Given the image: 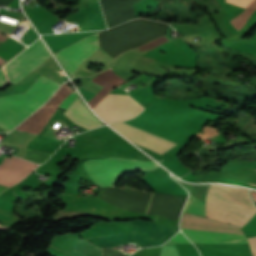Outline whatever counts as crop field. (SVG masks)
<instances>
[{"mask_svg": "<svg viewBox=\"0 0 256 256\" xmlns=\"http://www.w3.org/2000/svg\"><path fill=\"white\" fill-rule=\"evenodd\" d=\"M256 213L248 190L210 185L206 194V217L242 227ZM256 256V237L247 238Z\"/></svg>", "mask_w": 256, "mask_h": 256, "instance_id": "1", "label": "crop field"}, {"mask_svg": "<svg viewBox=\"0 0 256 256\" xmlns=\"http://www.w3.org/2000/svg\"><path fill=\"white\" fill-rule=\"evenodd\" d=\"M59 87L40 76L24 93L0 98V127L10 131L39 108Z\"/></svg>", "mask_w": 256, "mask_h": 256, "instance_id": "2", "label": "crop field"}, {"mask_svg": "<svg viewBox=\"0 0 256 256\" xmlns=\"http://www.w3.org/2000/svg\"><path fill=\"white\" fill-rule=\"evenodd\" d=\"M136 242L141 247L160 245L178 232L175 226L157 224L147 221H130ZM132 231L88 237L86 239L99 245L101 248L113 245H123L127 242H135ZM135 242V243H136Z\"/></svg>", "mask_w": 256, "mask_h": 256, "instance_id": "3", "label": "crop field"}, {"mask_svg": "<svg viewBox=\"0 0 256 256\" xmlns=\"http://www.w3.org/2000/svg\"><path fill=\"white\" fill-rule=\"evenodd\" d=\"M157 165L154 161H137L121 158H104L84 162L85 169L90 177L101 187L114 186L115 180L133 168L153 169Z\"/></svg>", "mask_w": 256, "mask_h": 256, "instance_id": "4", "label": "crop field"}, {"mask_svg": "<svg viewBox=\"0 0 256 256\" xmlns=\"http://www.w3.org/2000/svg\"><path fill=\"white\" fill-rule=\"evenodd\" d=\"M50 56L41 39H38L0 71V87L8 82L17 83Z\"/></svg>", "mask_w": 256, "mask_h": 256, "instance_id": "5", "label": "crop field"}, {"mask_svg": "<svg viewBox=\"0 0 256 256\" xmlns=\"http://www.w3.org/2000/svg\"><path fill=\"white\" fill-rule=\"evenodd\" d=\"M93 110L107 123H112L131 119L143 108L129 96L108 94Z\"/></svg>", "mask_w": 256, "mask_h": 256, "instance_id": "6", "label": "crop field"}, {"mask_svg": "<svg viewBox=\"0 0 256 256\" xmlns=\"http://www.w3.org/2000/svg\"><path fill=\"white\" fill-rule=\"evenodd\" d=\"M98 34L86 39L83 38L84 40L54 54L70 78H72L79 65L97 50L99 46Z\"/></svg>", "mask_w": 256, "mask_h": 256, "instance_id": "7", "label": "crop field"}, {"mask_svg": "<svg viewBox=\"0 0 256 256\" xmlns=\"http://www.w3.org/2000/svg\"><path fill=\"white\" fill-rule=\"evenodd\" d=\"M111 126L133 142L160 154L176 144L123 122L111 124Z\"/></svg>", "mask_w": 256, "mask_h": 256, "instance_id": "8", "label": "crop field"}, {"mask_svg": "<svg viewBox=\"0 0 256 256\" xmlns=\"http://www.w3.org/2000/svg\"><path fill=\"white\" fill-rule=\"evenodd\" d=\"M36 166L14 156L11 159L6 157L0 166V184L12 186L22 180Z\"/></svg>", "mask_w": 256, "mask_h": 256, "instance_id": "9", "label": "crop field"}, {"mask_svg": "<svg viewBox=\"0 0 256 256\" xmlns=\"http://www.w3.org/2000/svg\"><path fill=\"white\" fill-rule=\"evenodd\" d=\"M182 228L243 234L237 226L184 213Z\"/></svg>", "mask_w": 256, "mask_h": 256, "instance_id": "10", "label": "crop field"}, {"mask_svg": "<svg viewBox=\"0 0 256 256\" xmlns=\"http://www.w3.org/2000/svg\"><path fill=\"white\" fill-rule=\"evenodd\" d=\"M182 230L193 243H248L244 235Z\"/></svg>", "mask_w": 256, "mask_h": 256, "instance_id": "11", "label": "crop field"}, {"mask_svg": "<svg viewBox=\"0 0 256 256\" xmlns=\"http://www.w3.org/2000/svg\"><path fill=\"white\" fill-rule=\"evenodd\" d=\"M64 114L72 122L88 129L103 125L102 122L92 115L79 97L69 106L68 110Z\"/></svg>", "mask_w": 256, "mask_h": 256, "instance_id": "12", "label": "crop field"}, {"mask_svg": "<svg viewBox=\"0 0 256 256\" xmlns=\"http://www.w3.org/2000/svg\"><path fill=\"white\" fill-rule=\"evenodd\" d=\"M72 254L77 256H102L100 248L81 239L74 240L72 245Z\"/></svg>", "mask_w": 256, "mask_h": 256, "instance_id": "13", "label": "crop field"}, {"mask_svg": "<svg viewBox=\"0 0 256 256\" xmlns=\"http://www.w3.org/2000/svg\"><path fill=\"white\" fill-rule=\"evenodd\" d=\"M185 212L204 216L205 217V204L197 200L195 197L190 195V198L188 200V203L184 209Z\"/></svg>", "mask_w": 256, "mask_h": 256, "instance_id": "14", "label": "crop field"}, {"mask_svg": "<svg viewBox=\"0 0 256 256\" xmlns=\"http://www.w3.org/2000/svg\"><path fill=\"white\" fill-rule=\"evenodd\" d=\"M256 10V0L242 13H240L236 18H234L231 23L238 31L241 26L246 22L250 15Z\"/></svg>", "mask_w": 256, "mask_h": 256, "instance_id": "15", "label": "crop field"}, {"mask_svg": "<svg viewBox=\"0 0 256 256\" xmlns=\"http://www.w3.org/2000/svg\"><path fill=\"white\" fill-rule=\"evenodd\" d=\"M76 90L72 92L59 106V108L66 110V108L78 97Z\"/></svg>", "mask_w": 256, "mask_h": 256, "instance_id": "16", "label": "crop field"}, {"mask_svg": "<svg viewBox=\"0 0 256 256\" xmlns=\"http://www.w3.org/2000/svg\"><path fill=\"white\" fill-rule=\"evenodd\" d=\"M172 243H190V242L184 237V235L181 232H179L166 244H172Z\"/></svg>", "mask_w": 256, "mask_h": 256, "instance_id": "17", "label": "crop field"}, {"mask_svg": "<svg viewBox=\"0 0 256 256\" xmlns=\"http://www.w3.org/2000/svg\"><path fill=\"white\" fill-rule=\"evenodd\" d=\"M225 1L246 8L253 0H225Z\"/></svg>", "mask_w": 256, "mask_h": 256, "instance_id": "18", "label": "crop field"}, {"mask_svg": "<svg viewBox=\"0 0 256 256\" xmlns=\"http://www.w3.org/2000/svg\"><path fill=\"white\" fill-rule=\"evenodd\" d=\"M220 182L228 183V184L244 185V186L256 188V187H255L256 185H255V186H250V185H253V184L247 185V183L236 182V181L227 180V179H221ZM248 184H249V183H248Z\"/></svg>", "mask_w": 256, "mask_h": 256, "instance_id": "19", "label": "crop field"}, {"mask_svg": "<svg viewBox=\"0 0 256 256\" xmlns=\"http://www.w3.org/2000/svg\"><path fill=\"white\" fill-rule=\"evenodd\" d=\"M250 194H251L253 201L256 202V191L251 190Z\"/></svg>", "mask_w": 256, "mask_h": 256, "instance_id": "20", "label": "crop field"}, {"mask_svg": "<svg viewBox=\"0 0 256 256\" xmlns=\"http://www.w3.org/2000/svg\"><path fill=\"white\" fill-rule=\"evenodd\" d=\"M7 38H5L4 36H2L1 34H0V41H4V40H6Z\"/></svg>", "mask_w": 256, "mask_h": 256, "instance_id": "21", "label": "crop field"}]
</instances>
